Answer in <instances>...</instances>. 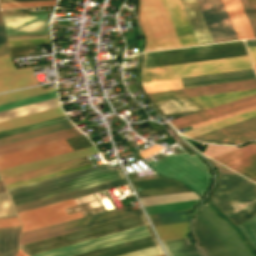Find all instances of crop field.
I'll use <instances>...</instances> for the list:
<instances>
[{"mask_svg": "<svg viewBox=\"0 0 256 256\" xmlns=\"http://www.w3.org/2000/svg\"><path fill=\"white\" fill-rule=\"evenodd\" d=\"M219 214L207 204L194 218L193 231L207 255L256 256L237 230Z\"/></svg>", "mask_w": 256, "mask_h": 256, "instance_id": "crop-field-1", "label": "crop field"}, {"mask_svg": "<svg viewBox=\"0 0 256 256\" xmlns=\"http://www.w3.org/2000/svg\"><path fill=\"white\" fill-rule=\"evenodd\" d=\"M248 55L242 41L143 53L142 67Z\"/></svg>", "mask_w": 256, "mask_h": 256, "instance_id": "crop-field-2", "label": "crop field"}, {"mask_svg": "<svg viewBox=\"0 0 256 256\" xmlns=\"http://www.w3.org/2000/svg\"><path fill=\"white\" fill-rule=\"evenodd\" d=\"M252 68L249 57H236L141 69V81L153 82Z\"/></svg>", "mask_w": 256, "mask_h": 256, "instance_id": "crop-field-3", "label": "crop field"}, {"mask_svg": "<svg viewBox=\"0 0 256 256\" xmlns=\"http://www.w3.org/2000/svg\"><path fill=\"white\" fill-rule=\"evenodd\" d=\"M211 161L218 168L220 174V182L215 193L210 198L211 202L228 217L238 212L235 208L240 211L249 206V202L256 199V184L217 162L213 160ZM243 201H246L249 204Z\"/></svg>", "mask_w": 256, "mask_h": 256, "instance_id": "crop-field-4", "label": "crop field"}, {"mask_svg": "<svg viewBox=\"0 0 256 256\" xmlns=\"http://www.w3.org/2000/svg\"><path fill=\"white\" fill-rule=\"evenodd\" d=\"M139 22L147 40L144 51L181 47L161 0H140Z\"/></svg>", "mask_w": 256, "mask_h": 256, "instance_id": "crop-field-5", "label": "crop field"}, {"mask_svg": "<svg viewBox=\"0 0 256 256\" xmlns=\"http://www.w3.org/2000/svg\"><path fill=\"white\" fill-rule=\"evenodd\" d=\"M150 165L163 175L185 182L201 195L210 184L208 167L194 154L190 156L186 152L176 155L172 153Z\"/></svg>", "mask_w": 256, "mask_h": 256, "instance_id": "crop-field-6", "label": "crop field"}, {"mask_svg": "<svg viewBox=\"0 0 256 256\" xmlns=\"http://www.w3.org/2000/svg\"><path fill=\"white\" fill-rule=\"evenodd\" d=\"M147 220L144 216L138 215L118 221H114L111 223L83 229L80 231L52 237L49 239L21 245L20 247L28 254H34L54 248H58L61 246L89 240L92 238L116 233L119 231L147 225Z\"/></svg>", "mask_w": 256, "mask_h": 256, "instance_id": "crop-field-7", "label": "crop field"}, {"mask_svg": "<svg viewBox=\"0 0 256 256\" xmlns=\"http://www.w3.org/2000/svg\"><path fill=\"white\" fill-rule=\"evenodd\" d=\"M142 214L141 209L129 212L126 207L92 215L82 219L26 232L21 234L20 245L114 220Z\"/></svg>", "mask_w": 256, "mask_h": 256, "instance_id": "crop-field-8", "label": "crop field"}, {"mask_svg": "<svg viewBox=\"0 0 256 256\" xmlns=\"http://www.w3.org/2000/svg\"><path fill=\"white\" fill-rule=\"evenodd\" d=\"M256 94L255 90L154 102L163 115L201 110Z\"/></svg>", "mask_w": 256, "mask_h": 256, "instance_id": "crop-field-9", "label": "crop field"}, {"mask_svg": "<svg viewBox=\"0 0 256 256\" xmlns=\"http://www.w3.org/2000/svg\"><path fill=\"white\" fill-rule=\"evenodd\" d=\"M74 199L17 213L22 232L83 217L81 212L67 215L64 208L75 206Z\"/></svg>", "mask_w": 256, "mask_h": 256, "instance_id": "crop-field-10", "label": "crop field"}, {"mask_svg": "<svg viewBox=\"0 0 256 256\" xmlns=\"http://www.w3.org/2000/svg\"><path fill=\"white\" fill-rule=\"evenodd\" d=\"M120 178H122V177H121L118 169H116V170H112V171L92 175V176H89V177H85V178L65 182V183H62V184H58V185L38 189V190H35V191H31V192L11 196L10 198L12 200L13 205L15 206V205H19V204H23V203H27V202H31V201H35V200H39V199H42V198H46V197L66 193V192H69V191H73V190H77V189L97 185V184H100V183H104V182H108V181H112V180H116V179H120Z\"/></svg>", "mask_w": 256, "mask_h": 256, "instance_id": "crop-field-11", "label": "crop field"}, {"mask_svg": "<svg viewBox=\"0 0 256 256\" xmlns=\"http://www.w3.org/2000/svg\"><path fill=\"white\" fill-rule=\"evenodd\" d=\"M147 228L150 234L153 235L154 233L149 225H147ZM145 236H149V233L144 226L30 256H72Z\"/></svg>", "mask_w": 256, "mask_h": 256, "instance_id": "crop-field-12", "label": "crop field"}, {"mask_svg": "<svg viewBox=\"0 0 256 256\" xmlns=\"http://www.w3.org/2000/svg\"><path fill=\"white\" fill-rule=\"evenodd\" d=\"M214 42L238 39L221 0H196Z\"/></svg>", "mask_w": 256, "mask_h": 256, "instance_id": "crop-field-13", "label": "crop field"}, {"mask_svg": "<svg viewBox=\"0 0 256 256\" xmlns=\"http://www.w3.org/2000/svg\"><path fill=\"white\" fill-rule=\"evenodd\" d=\"M256 88V79L147 94L152 101Z\"/></svg>", "mask_w": 256, "mask_h": 256, "instance_id": "crop-field-14", "label": "crop field"}, {"mask_svg": "<svg viewBox=\"0 0 256 256\" xmlns=\"http://www.w3.org/2000/svg\"><path fill=\"white\" fill-rule=\"evenodd\" d=\"M72 151L66 140L0 156V169Z\"/></svg>", "mask_w": 256, "mask_h": 256, "instance_id": "crop-field-15", "label": "crop field"}, {"mask_svg": "<svg viewBox=\"0 0 256 256\" xmlns=\"http://www.w3.org/2000/svg\"><path fill=\"white\" fill-rule=\"evenodd\" d=\"M196 139L225 144H236L247 140H256V117L196 137Z\"/></svg>", "mask_w": 256, "mask_h": 256, "instance_id": "crop-field-16", "label": "crop field"}, {"mask_svg": "<svg viewBox=\"0 0 256 256\" xmlns=\"http://www.w3.org/2000/svg\"><path fill=\"white\" fill-rule=\"evenodd\" d=\"M213 159L256 182V144L251 143Z\"/></svg>", "mask_w": 256, "mask_h": 256, "instance_id": "crop-field-17", "label": "crop field"}, {"mask_svg": "<svg viewBox=\"0 0 256 256\" xmlns=\"http://www.w3.org/2000/svg\"><path fill=\"white\" fill-rule=\"evenodd\" d=\"M249 70H253V69H249ZM249 70H242V71H249ZM234 72H241V71H234ZM227 73H233V72H227ZM220 74H225V73H220ZM252 74H255L254 71L226 74V75H218V76H210V77H202V78H194V79H186V80H178V81H174V82L176 85H179V84L194 83V82L223 79V78H230V77H237V76H245V75H252ZM212 75H217V74H212ZM205 76H209V75H205ZM198 77H201V76H198ZM191 78H193V77H191ZM253 78H256V76L252 75V76L237 77V78H230V79H223V80H216V81L179 85V86H176V88L179 89V88L194 87V86L231 82V81L253 79ZM183 79H185V78H183ZM142 85L144 87L145 93L176 89L172 80L153 82V83H145Z\"/></svg>", "mask_w": 256, "mask_h": 256, "instance_id": "crop-field-18", "label": "crop field"}, {"mask_svg": "<svg viewBox=\"0 0 256 256\" xmlns=\"http://www.w3.org/2000/svg\"><path fill=\"white\" fill-rule=\"evenodd\" d=\"M256 105V95L227 103L221 106L210 108L184 117H180L169 122L176 128L185 127L194 123L238 111Z\"/></svg>", "mask_w": 256, "mask_h": 256, "instance_id": "crop-field-19", "label": "crop field"}, {"mask_svg": "<svg viewBox=\"0 0 256 256\" xmlns=\"http://www.w3.org/2000/svg\"><path fill=\"white\" fill-rule=\"evenodd\" d=\"M9 54L0 56V92L37 84L32 68L16 70Z\"/></svg>", "mask_w": 256, "mask_h": 256, "instance_id": "crop-field-20", "label": "crop field"}, {"mask_svg": "<svg viewBox=\"0 0 256 256\" xmlns=\"http://www.w3.org/2000/svg\"><path fill=\"white\" fill-rule=\"evenodd\" d=\"M49 14L22 15L2 17L6 34H37L48 33L47 19Z\"/></svg>", "mask_w": 256, "mask_h": 256, "instance_id": "crop-field-21", "label": "crop field"}, {"mask_svg": "<svg viewBox=\"0 0 256 256\" xmlns=\"http://www.w3.org/2000/svg\"><path fill=\"white\" fill-rule=\"evenodd\" d=\"M182 47L198 44L179 0H162Z\"/></svg>", "mask_w": 256, "mask_h": 256, "instance_id": "crop-field-22", "label": "crop field"}, {"mask_svg": "<svg viewBox=\"0 0 256 256\" xmlns=\"http://www.w3.org/2000/svg\"><path fill=\"white\" fill-rule=\"evenodd\" d=\"M107 170H111V167L109 166V164H103V165H99V166H95V167H91V168L55 176L52 178H48V179H44V180H40V181H36V182H32V183L20 185V186L8 188L7 190L11 196V195L27 192L30 190L50 186L53 184L69 181L72 179L92 175L95 173L107 171Z\"/></svg>", "mask_w": 256, "mask_h": 256, "instance_id": "crop-field-23", "label": "crop field"}, {"mask_svg": "<svg viewBox=\"0 0 256 256\" xmlns=\"http://www.w3.org/2000/svg\"><path fill=\"white\" fill-rule=\"evenodd\" d=\"M96 153H98L97 150L95 149L94 146H92V147L76 150L73 152L57 155L54 157L38 160L35 162L19 165L16 167L0 170V174L2 177H4V176L64 162V161H68V160H72V159H76V158H80V157H84V156H88Z\"/></svg>", "mask_w": 256, "mask_h": 256, "instance_id": "crop-field-24", "label": "crop field"}, {"mask_svg": "<svg viewBox=\"0 0 256 256\" xmlns=\"http://www.w3.org/2000/svg\"><path fill=\"white\" fill-rule=\"evenodd\" d=\"M127 184L128 183H127L126 179L124 178V179H121V180H117V181H113V182H109V183L89 187V188H86V189H82V190H78V191H74V192H70V193H66V194H62V195H58V196H54V197H50V198H47V199H43V200H39V201L27 203V204L15 206V209H16L17 212H19V211H23V210H27V209H31V208H35V207H39V206H43V205H47V204L67 200V199H71V198H75V197H79V196H83V195H87V194H91V193H95V192H99V191H103V190H107V189L127 185Z\"/></svg>", "mask_w": 256, "mask_h": 256, "instance_id": "crop-field-25", "label": "crop field"}, {"mask_svg": "<svg viewBox=\"0 0 256 256\" xmlns=\"http://www.w3.org/2000/svg\"><path fill=\"white\" fill-rule=\"evenodd\" d=\"M77 135H81V133L75 127H73V128L49 133L46 135L18 141L15 143L0 146V155L10 153L13 151H17V150H21V149H25L28 147L44 144L47 142L63 139V138L77 136Z\"/></svg>", "mask_w": 256, "mask_h": 256, "instance_id": "crop-field-26", "label": "crop field"}, {"mask_svg": "<svg viewBox=\"0 0 256 256\" xmlns=\"http://www.w3.org/2000/svg\"><path fill=\"white\" fill-rule=\"evenodd\" d=\"M199 44L213 42L195 0H180Z\"/></svg>", "mask_w": 256, "mask_h": 256, "instance_id": "crop-field-27", "label": "crop field"}, {"mask_svg": "<svg viewBox=\"0 0 256 256\" xmlns=\"http://www.w3.org/2000/svg\"><path fill=\"white\" fill-rule=\"evenodd\" d=\"M239 39L255 38L239 0H222Z\"/></svg>", "mask_w": 256, "mask_h": 256, "instance_id": "crop-field-28", "label": "crop field"}, {"mask_svg": "<svg viewBox=\"0 0 256 256\" xmlns=\"http://www.w3.org/2000/svg\"><path fill=\"white\" fill-rule=\"evenodd\" d=\"M85 163H89L87 157L60 163V164H56V165H52V166H48V167H44V168H40V169H36V170H32V171H28V172H24V173H20V174H16V175H12V176H8V177H4L2 179H3L4 183L6 184V183H10V182L46 174L49 172H53V171H57V170L85 164Z\"/></svg>", "mask_w": 256, "mask_h": 256, "instance_id": "crop-field-29", "label": "crop field"}, {"mask_svg": "<svg viewBox=\"0 0 256 256\" xmlns=\"http://www.w3.org/2000/svg\"><path fill=\"white\" fill-rule=\"evenodd\" d=\"M57 106H60V105H59L58 99L55 98V99H51V100H47V101H43V102L31 104V105L19 107V108L2 111L0 112V121L8 120L11 118L27 115L30 113L42 111V110L57 107Z\"/></svg>", "mask_w": 256, "mask_h": 256, "instance_id": "crop-field-30", "label": "crop field"}, {"mask_svg": "<svg viewBox=\"0 0 256 256\" xmlns=\"http://www.w3.org/2000/svg\"><path fill=\"white\" fill-rule=\"evenodd\" d=\"M60 115H64V113L61 111L60 107H58V108L42 111L39 113L19 117L16 119L0 122V131L9 129V128H13V127H17V126H21L24 124L60 116Z\"/></svg>", "mask_w": 256, "mask_h": 256, "instance_id": "crop-field-31", "label": "crop field"}, {"mask_svg": "<svg viewBox=\"0 0 256 256\" xmlns=\"http://www.w3.org/2000/svg\"><path fill=\"white\" fill-rule=\"evenodd\" d=\"M255 116H256V110L245 113V114H241V115H238V116H235V117H231V118H228V119H225V120H221V121H218V122H215V123H211V124H208V125H205V126H201V127L195 128V129H191V130H188V131H185V132H181V133L190 137V138H193V137H196V136L214 131L216 129H219V128H222V127H225V126H228V125H231V124H234V123H237V122L255 117Z\"/></svg>", "mask_w": 256, "mask_h": 256, "instance_id": "crop-field-32", "label": "crop field"}, {"mask_svg": "<svg viewBox=\"0 0 256 256\" xmlns=\"http://www.w3.org/2000/svg\"><path fill=\"white\" fill-rule=\"evenodd\" d=\"M69 127H73V125L70 123V121L52 125V126H48V127H44V128H40V129H36V130H32V131H28V132H24V133H20V134H16V135H12V136H8V137H4V138H0V145L15 142V141L30 138V137H34V136H38V135H42V134H46L49 132H53V131H57V130H61V129L69 128Z\"/></svg>", "mask_w": 256, "mask_h": 256, "instance_id": "crop-field-33", "label": "crop field"}, {"mask_svg": "<svg viewBox=\"0 0 256 256\" xmlns=\"http://www.w3.org/2000/svg\"><path fill=\"white\" fill-rule=\"evenodd\" d=\"M190 210L158 213L148 215L153 226L188 221Z\"/></svg>", "mask_w": 256, "mask_h": 256, "instance_id": "crop-field-34", "label": "crop field"}, {"mask_svg": "<svg viewBox=\"0 0 256 256\" xmlns=\"http://www.w3.org/2000/svg\"><path fill=\"white\" fill-rule=\"evenodd\" d=\"M157 245L159 244L156 238H154V239H150V240H146V241H142V242H138V243H134V244H130V245H126V246H122V247H118V248H114V249H110V250H106V251H102V252H98V253H94L86 256H117V255L129 253V252H133V251H137V250H141V249H145V248H149Z\"/></svg>", "mask_w": 256, "mask_h": 256, "instance_id": "crop-field-35", "label": "crop field"}, {"mask_svg": "<svg viewBox=\"0 0 256 256\" xmlns=\"http://www.w3.org/2000/svg\"><path fill=\"white\" fill-rule=\"evenodd\" d=\"M160 240L187 237L188 222L154 227Z\"/></svg>", "mask_w": 256, "mask_h": 256, "instance_id": "crop-field-36", "label": "crop field"}, {"mask_svg": "<svg viewBox=\"0 0 256 256\" xmlns=\"http://www.w3.org/2000/svg\"><path fill=\"white\" fill-rule=\"evenodd\" d=\"M20 226L0 228V254L17 247Z\"/></svg>", "mask_w": 256, "mask_h": 256, "instance_id": "crop-field-37", "label": "crop field"}, {"mask_svg": "<svg viewBox=\"0 0 256 256\" xmlns=\"http://www.w3.org/2000/svg\"><path fill=\"white\" fill-rule=\"evenodd\" d=\"M55 86L49 89L42 90L41 86L23 89L19 91L9 92L5 94H0V104L11 102L14 100L54 91Z\"/></svg>", "mask_w": 256, "mask_h": 256, "instance_id": "crop-field-38", "label": "crop field"}, {"mask_svg": "<svg viewBox=\"0 0 256 256\" xmlns=\"http://www.w3.org/2000/svg\"><path fill=\"white\" fill-rule=\"evenodd\" d=\"M200 198L193 192L139 199L142 206Z\"/></svg>", "mask_w": 256, "mask_h": 256, "instance_id": "crop-field-39", "label": "crop field"}, {"mask_svg": "<svg viewBox=\"0 0 256 256\" xmlns=\"http://www.w3.org/2000/svg\"><path fill=\"white\" fill-rule=\"evenodd\" d=\"M64 121H68L66 115L48 119V120H44V121H40V122H36V123H32V124H28L25 126H21V127L9 129V130H5V131H1L0 137H4V136H8V135H12V134H16V133L52 125V124H56V123H60V122H64Z\"/></svg>", "mask_w": 256, "mask_h": 256, "instance_id": "crop-field-40", "label": "crop field"}, {"mask_svg": "<svg viewBox=\"0 0 256 256\" xmlns=\"http://www.w3.org/2000/svg\"><path fill=\"white\" fill-rule=\"evenodd\" d=\"M198 200L199 199L175 202V203H169V204H162V205H155V206H148V207H144V209L146 210L147 214L173 211V210H181V209H189V208H193L195 206V204L198 202Z\"/></svg>", "mask_w": 256, "mask_h": 256, "instance_id": "crop-field-41", "label": "crop field"}, {"mask_svg": "<svg viewBox=\"0 0 256 256\" xmlns=\"http://www.w3.org/2000/svg\"><path fill=\"white\" fill-rule=\"evenodd\" d=\"M131 183H132L135 191L153 189V188H159V187H166V186H173V185H180L181 184L177 181L170 180V179H165V178L135 181V182H131Z\"/></svg>", "mask_w": 256, "mask_h": 256, "instance_id": "crop-field-42", "label": "crop field"}, {"mask_svg": "<svg viewBox=\"0 0 256 256\" xmlns=\"http://www.w3.org/2000/svg\"><path fill=\"white\" fill-rule=\"evenodd\" d=\"M191 191L184 185L136 192L139 198Z\"/></svg>", "mask_w": 256, "mask_h": 256, "instance_id": "crop-field-43", "label": "crop field"}, {"mask_svg": "<svg viewBox=\"0 0 256 256\" xmlns=\"http://www.w3.org/2000/svg\"><path fill=\"white\" fill-rule=\"evenodd\" d=\"M53 97H57L55 91L0 105V111L9 109V108H13V107H17V106H21V105H25V104H29V103H33V102H37V101H41V100H45V99H49V98H53Z\"/></svg>", "mask_w": 256, "mask_h": 256, "instance_id": "crop-field-44", "label": "crop field"}, {"mask_svg": "<svg viewBox=\"0 0 256 256\" xmlns=\"http://www.w3.org/2000/svg\"><path fill=\"white\" fill-rule=\"evenodd\" d=\"M237 226L256 249V215Z\"/></svg>", "mask_w": 256, "mask_h": 256, "instance_id": "crop-field-45", "label": "crop field"}, {"mask_svg": "<svg viewBox=\"0 0 256 256\" xmlns=\"http://www.w3.org/2000/svg\"><path fill=\"white\" fill-rule=\"evenodd\" d=\"M165 250H178L198 247L197 244H190L188 238L161 241Z\"/></svg>", "mask_w": 256, "mask_h": 256, "instance_id": "crop-field-46", "label": "crop field"}, {"mask_svg": "<svg viewBox=\"0 0 256 256\" xmlns=\"http://www.w3.org/2000/svg\"><path fill=\"white\" fill-rule=\"evenodd\" d=\"M248 20L256 34V0H240Z\"/></svg>", "mask_w": 256, "mask_h": 256, "instance_id": "crop-field-47", "label": "crop field"}, {"mask_svg": "<svg viewBox=\"0 0 256 256\" xmlns=\"http://www.w3.org/2000/svg\"><path fill=\"white\" fill-rule=\"evenodd\" d=\"M2 192H6V191H1ZM12 215H16L12 205L8 199V196L6 193H2L0 194V217L3 216H12ZM12 217H16V216H12ZM12 217H4V218H12ZM3 219V218H0Z\"/></svg>", "mask_w": 256, "mask_h": 256, "instance_id": "crop-field-48", "label": "crop field"}, {"mask_svg": "<svg viewBox=\"0 0 256 256\" xmlns=\"http://www.w3.org/2000/svg\"><path fill=\"white\" fill-rule=\"evenodd\" d=\"M256 214V203L229 217L236 225Z\"/></svg>", "mask_w": 256, "mask_h": 256, "instance_id": "crop-field-49", "label": "crop field"}, {"mask_svg": "<svg viewBox=\"0 0 256 256\" xmlns=\"http://www.w3.org/2000/svg\"><path fill=\"white\" fill-rule=\"evenodd\" d=\"M91 166H92L91 164H88V165H84V166H80V167H76V168H72V169H68V170H64V171H60V172H56V173H52V174H48V175H43V176H39V177H35V178H31V179H27V180H23V181H19V182L7 184L5 186H6V188H8V187H12V186H16V185H20V184H24V183H28V182H32V181H36V180H40V179H44V178H48V177H51V176H55V175H59V174H63V173H67V172H71V171L91 167Z\"/></svg>", "mask_w": 256, "mask_h": 256, "instance_id": "crop-field-50", "label": "crop field"}, {"mask_svg": "<svg viewBox=\"0 0 256 256\" xmlns=\"http://www.w3.org/2000/svg\"><path fill=\"white\" fill-rule=\"evenodd\" d=\"M9 47L49 44V38L8 41Z\"/></svg>", "mask_w": 256, "mask_h": 256, "instance_id": "crop-field-51", "label": "crop field"}, {"mask_svg": "<svg viewBox=\"0 0 256 256\" xmlns=\"http://www.w3.org/2000/svg\"><path fill=\"white\" fill-rule=\"evenodd\" d=\"M55 3H56V0L43 1V2L7 3V4H0V7L10 8V7L45 6V5H55Z\"/></svg>", "mask_w": 256, "mask_h": 256, "instance_id": "crop-field-52", "label": "crop field"}, {"mask_svg": "<svg viewBox=\"0 0 256 256\" xmlns=\"http://www.w3.org/2000/svg\"><path fill=\"white\" fill-rule=\"evenodd\" d=\"M169 256H204L199 248L167 252Z\"/></svg>", "mask_w": 256, "mask_h": 256, "instance_id": "crop-field-53", "label": "crop field"}, {"mask_svg": "<svg viewBox=\"0 0 256 256\" xmlns=\"http://www.w3.org/2000/svg\"><path fill=\"white\" fill-rule=\"evenodd\" d=\"M162 253L163 252L160 246H158V247H154V248H150V249H146V250H142V251H138V252L122 255V256H154Z\"/></svg>", "mask_w": 256, "mask_h": 256, "instance_id": "crop-field-54", "label": "crop field"}, {"mask_svg": "<svg viewBox=\"0 0 256 256\" xmlns=\"http://www.w3.org/2000/svg\"><path fill=\"white\" fill-rule=\"evenodd\" d=\"M255 109H256V106L248 108V109H244V110H241V111H238V112H234V113H231V114H228V115H225V116H221V117H218V118H215V119H211V120H208V121H205V122H201V123H198V124H195V125H191V127L192 128L198 127V126H201V125H204V124H208V123H211V122H214V121H218V120H221V119H224V118L235 116V115L245 113V112L255 110Z\"/></svg>", "mask_w": 256, "mask_h": 256, "instance_id": "crop-field-55", "label": "crop field"}, {"mask_svg": "<svg viewBox=\"0 0 256 256\" xmlns=\"http://www.w3.org/2000/svg\"><path fill=\"white\" fill-rule=\"evenodd\" d=\"M2 16L28 14L25 9L2 10Z\"/></svg>", "mask_w": 256, "mask_h": 256, "instance_id": "crop-field-56", "label": "crop field"}, {"mask_svg": "<svg viewBox=\"0 0 256 256\" xmlns=\"http://www.w3.org/2000/svg\"><path fill=\"white\" fill-rule=\"evenodd\" d=\"M17 219L16 218H12V219L0 220V227L19 225Z\"/></svg>", "mask_w": 256, "mask_h": 256, "instance_id": "crop-field-57", "label": "crop field"}, {"mask_svg": "<svg viewBox=\"0 0 256 256\" xmlns=\"http://www.w3.org/2000/svg\"><path fill=\"white\" fill-rule=\"evenodd\" d=\"M160 149H162V148L153 146V147H151V148H149V149H147V150H145V151L139 153V155L144 158V157H146V156H148V155H150V154H152V153H154V152H156V151H158V150H160Z\"/></svg>", "mask_w": 256, "mask_h": 256, "instance_id": "crop-field-58", "label": "crop field"}, {"mask_svg": "<svg viewBox=\"0 0 256 256\" xmlns=\"http://www.w3.org/2000/svg\"><path fill=\"white\" fill-rule=\"evenodd\" d=\"M254 64H256V47H247ZM255 69H256V65Z\"/></svg>", "mask_w": 256, "mask_h": 256, "instance_id": "crop-field-59", "label": "crop field"}, {"mask_svg": "<svg viewBox=\"0 0 256 256\" xmlns=\"http://www.w3.org/2000/svg\"><path fill=\"white\" fill-rule=\"evenodd\" d=\"M152 237H153V236H151V237H147V238H143V239H139V240H135V241H131V242H127V243H123V244H119V245L112 246V247H108V248H104V249H100V250H96V251H92V252H88V253H84V254H80V255H77V256H82V255H85V254H89V253H93V252H97V251H101V250H105V249H109V248L117 247V246H120V245H124V244H128V243H132V242H136V241H140V240H144V239H148V238H152Z\"/></svg>", "mask_w": 256, "mask_h": 256, "instance_id": "crop-field-60", "label": "crop field"}, {"mask_svg": "<svg viewBox=\"0 0 256 256\" xmlns=\"http://www.w3.org/2000/svg\"><path fill=\"white\" fill-rule=\"evenodd\" d=\"M6 42L5 40V35H4V29H3V24L0 22V43Z\"/></svg>", "mask_w": 256, "mask_h": 256, "instance_id": "crop-field-61", "label": "crop field"}, {"mask_svg": "<svg viewBox=\"0 0 256 256\" xmlns=\"http://www.w3.org/2000/svg\"><path fill=\"white\" fill-rule=\"evenodd\" d=\"M7 53H9L7 44L6 43L0 44V55L7 54Z\"/></svg>", "mask_w": 256, "mask_h": 256, "instance_id": "crop-field-62", "label": "crop field"}, {"mask_svg": "<svg viewBox=\"0 0 256 256\" xmlns=\"http://www.w3.org/2000/svg\"><path fill=\"white\" fill-rule=\"evenodd\" d=\"M17 250H18V248H17V249H14V250H12V251H10V252H8V253H5V254H3V255H1V256H15L16 253H17Z\"/></svg>", "mask_w": 256, "mask_h": 256, "instance_id": "crop-field-63", "label": "crop field"}, {"mask_svg": "<svg viewBox=\"0 0 256 256\" xmlns=\"http://www.w3.org/2000/svg\"><path fill=\"white\" fill-rule=\"evenodd\" d=\"M20 1H35V0H0V3H6V2H20Z\"/></svg>", "mask_w": 256, "mask_h": 256, "instance_id": "crop-field-64", "label": "crop field"}, {"mask_svg": "<svg viewBox=\"0 0 256 256\" xmlns=\"http://www.w3.org/2000/svg\"><path fill=\"white\" fill-rule=\"evenodd\" d=\"M245 43L247 46H256V40H246Z\"/></svg>", "mask_w": 256, "mask_h": 256, "instance_id": "crop-field-65", "label": "crop field"}, {"mask_svg": "<svg viewBox=\"0 0 256 256\" xmlns=\"http://www.w3.org/2000/svg\"><path fill=\"white\" fill-rule=\"evenodd\" d=\"M17 256H27L25 253H23L20 249L18 250Z\"/></svg>", "mask_w": 256, "mask_h": 256, "instance_id": "crop-field-66", "label": "crop field"}, {"mask_svg": "<svg viewBox=\"0 0 256 256\" xmlns=\"http://www.w3.org/2000/svg\"><path fill=\"white\" fill-rule=\"evenodd\" d=\"M1 190H5V189H4V186H3V184H2V181L0 180V191H1Z\"/></svg>", "mask_w": 256, "mask_h": 256, "instance_id": "crop-field-67", "label": "crop field"}, {"mask_svg": "<svg viewBox=\"0 0 256 256\" xmlns=\"http://www.w3.org/2000/svg\"><path fill=\"white\" fill-rule=\"evenodd\" d=\"M158 256H164V254H162V255H158Z\"/></svg>", "mask_w": 256, "mask_h": 256, "instance_id": "crop-field-68", "label": "crop field"}, {"mask_svg": "<svg viewBox=\"0 0 256 256\" xmlns=\"http://www.w3.org/2000/svg\"><path fill=\"white\" fill-rule=\"evenodd\" d=\"M0 21H2V20H1V16H0Z\"/></svg>", "mask_w": 256, "mask_h": 256, "instance_id": "crop-field-69", "label": "crop field"}]
</instances>
